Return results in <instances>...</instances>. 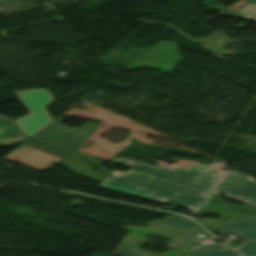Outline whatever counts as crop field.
<instances>
[{
    "label": "crop field",
    "mask_w": 256,
    "mask_h": 256,
    "mask_svg": "<svg viewBox=\"0 0 256 256\" xmlns=\"http://www.w3.org/2000/svg\"><path fill=\"white\" fill-rule=\"evenodd\" d=\"M71 155H74V156H76V157L82 158V159H84V160H87V161H89V162H91V163H94V164L98 165V166L96 167V169H99V170H101V171H103V172H106V173H108V174L111 173L110 171H108V170H106V169L100 167L103 163H105L104 161L96 160V159H94V158H91V157H89V156L83 155V154L78 153V152H75V151H73V152L71 153Z\"/></svg>",
    "instance_id": "733c2abd"
},
{
    "label": "crop field",
    "mask_w": 256,
    "mask_h": 256,
    "mask_svg": "<svg viewBox=\"0 0 256 256\" xmlns=\"http://www.w3.org/2000/svg\"><path fill=\"white\" fill-rule=\"evenodd\" d=\"M236 250L246 256H252L256 254V241L244 245Z\"/></svg>",
    "instance_id": "4a817a6b"
},
{
    "label": "crop field",
    "mask_w": 256,
    "mask_h": 256,
    "mask_svg": "<svg viewBox=\"0 0 256 256\" xmlns=\"http://www.w3.org/2000/svg\"><path fill=\"white\" fill-rule=\"evenodd\" d=\"M196 233H200V231L178 236L176 238V240L178 242L170 244V245L172 247H176V246H181V245L190 244V243L205 244V243H211L212 242L210 240H204V241L197 242L196 240H199V239L193 236V234H196Z\"/></svg>",
    "instance_id": "cbeb9de0"
},
{
    "label": "crop field",
    "mask_w": 256,
    "mask_h": 256,
    "mask_svg": "<svg viewBox=\"0 0 256 256\" xmlns=\"http://www.w3.org/2000/svg\"><path fill=\"white\" fill-rule=\"evenodd\" d=\"M25 145H28L30 147L42 150L44 152L53 154L55 156H58L60 158H62L61 160H59L57 163L66 166L70 171L75 172L77 174H80L84 177H87L89 179L95 180V181H99L102 182L108 175L102 173V172H98V171H94L92 170V165L88 164L85 161L76 159L74 157H71L67 154H64L60 151H56V150H52L43 146H39L33 143H26Z\"/></svg>",
    "instance_id": "e52e79f7"
},
{
    "label": "crop field",
    "mask_w": 256,
    "mask_h": 256,
    "mask_svg": "<svg viewBox=\"0 0 256 256\" xmlns=\"http://www.w3.org/2000/svg\"><path fill=\"white\" fill-rule=\"evenodd\" d=\"M147 224L152 227H156V228H185V229H189V228L196 227L194 229L182 231L181 233L184 234V233L200 230L203 233L208 234V232H206L198 224H196L194 221H192L186 217L171 216V217H167L164 219L149 222ZM158 224H162V225L157 226Z\"/></svg>",
    "instance_id": "28ad6ade"
},
{
    "label": "crop field",
    "mask_w": 256,
    "mask_h": 256,
    "mask_svg": "<svg viewBox=\"0 0 256 256\" xmlns=\"http://www.w3.org/2000/svg\"><path fill=\"white\" fill-rule=\"evenodd\" d=\"M231 223L212 229L213 231L226 235L230 232L241 236V242L245 243L256 238V215L250 214Z\"/></svg>",
    "instance_id": "d8731c3e"
},
{
    "label": "crop field",
    "mask_w": 256,
    "mask_h": 256,
    "mask_svg": "<svg viewBox=\"0 0 256 256\" xmlns=\"http://www.w3.org/2000/svg\"><path fill=\"white\" fill-rule=\"evenodd\" d=\"M254 214H256V213H254Z\"/></svg>",
    "instance_id": "214f88e0"
},
{
    "label": "crop field",
    "mask_w": 256,
    "mask_h": 256,
    "mask_svg": "<svg viewBox=\"0 0 256 256\" xmlns=\"http://www.w3.org/2000/svg\"><path fill=\"white\" fill-rule=\"evenodd\" d=\"M64 119L58 117L34 136L76 150L99 125L98 123L88 122L80 129L59 126Z\"/></svg>",
    "instance_id": "412701ff"
},
{
    "label": "crop field",
    "mask_w": 256,
    "mask_h": 256,
    "mask_svg": "<svg viewBox=\"0 0 256 256\" xmlns=\"http://www.w3.org/2000/svg\"><path fill=\"white\" fill-rule=\"evenodd\" d=\"M99 186L192 211H195L205 201V199L184 193L152 185L133 183L110 176H108Z\"/></svg>",
    "instance_id": "8a807250"
},
{
    "label": "crop field",
    "mask_w": 256,
    "mask_h": 256,
    "mask_svg": "<svg viewBox=\"0 0 256 256\" xmlns=\"http://www.w3.org/2000/svg\"><path fill=\"white\" fill-rule=\"evenodd\" d=\"M110 175L129 179V180H134V181H138V182H142V183H152L155 185H159L162 187L177 190V191L184 192L187 194L203 197L206 199H208V196H209V192L202 191V190H199V189H196L193 187H189V186L174 182L169 179L158 178L155 175L142 173V172L135 171L132 169L126 171L125 173L119 172V171H114Z\"/></svg>",
    "instance_id": "dd49c442"
},
{
    "label": "crop field",
    "mask_w": 256,
    "mask_h": 256,
    "mask_svg": "<svg viewBox=\"0 0 256 256\" xmlns=\"http://www.w3.org/2000/svg\"><path fill=\"white\" fill-rule=\"evenodd\" d=\"M193 249L195 252L202 251L206 252L205 254H190L187 256H240L236 252L230 250L222 244H205V245H197Z\"/></svg>",
    "instance_id": "d1516ede"
},
{
    "label": "crop field",
    "mask_w": 256,
    "mask_h": 256,
    "mask_svg": "<svg viewBox=\"0 0 256 256\" xmlns=\"http://www.w3.org/2000/svg\"><path fill=\"white\" fill-rule=\"evenodd\" d=\"M26 137L15 122L0 117V146H6L25 141Z\"/></svg>",
    "instance_id": "3316defc"
},
{
    "label": "crop field",
    "mask_w": 256,
    "mask_h": 256,
    "mask_svg": "<svg viewBox=\"0 0 256 256\" xmlns=\"http://www.w3.org/2000/svg\"><path fill=\"white\" fill-rule=\"evenodd\" d=\"M255 5L256 0H247V3L242 5L240 10H230L228 12H222L221 14L233 17L251 18L253 20H256V7H254Z\"/></svg>",
    "instance_id": "22f410ed"
},
{
    "label": "crop field",
    "mask_w": 256,
    "mask_h": 256,
    "mask_svg": "<svg viewBox=\"0 0 256 256\" xmlns=\"http://www.w3.org/2000/svg\"><path fill=\"white\" fill-rule=\"evenodd\" d=\"M214 192H222L228 198L256 206V181L245 174L224 172Z\"/></svg>",
    "instance_id": "f4fd0767"
},
{
    "label": "crop field",
    "mask_w": 256,
    "mask_h": 256,
    "mask_svg": "<svg viewBox=\"0 0 256 256\" xmlns=\"http://www.w3.org/2000/svg\"><path fill=\"white\" fill-rule=\"evenodd\" d=\"M111 255L115 256H158L150 253H145V252H139L137 250L125 248L118 246L112 253Z\"/></svg>",
    "instance_id": "5142ce71"
},
{
    "label": "crop field",
    "mask_w": 256,
    "mask_h": 256,
    "mask_svg": "<svg viewBox=\"0 0 256 256\" xmlns=\"http://www.w3.org/2000/svg\"><path fill=\"white\" fill-rule=\"evenodd\" d=\"M111 161L124 164L139 170H143L155 175L175 180L177 182L190 185L202 190L211 192L213 186L221 173L210 174L203 172L204 166H193L191 169H168L161 166L152 167L131 159L115 158Z\"/></svg>",
    "instance_id": "ac0d7876"
},
{
    "label": "crop field",
    "mask_w": 256,
    "mask_h": 256,
    "mask_svg": "<svg viewBox=\"0 0 256 256\" xmlns=\"http://www.w3.org/2000/svg\"><path fill=\"white\" fill-rule=\"evenodd\" d=\"M210 200L214 201V202H217V203H221V204L230 206V207H233V208H236V209H239V210H242V211H246V212H250V213L256 212V207H253V206H250V205L240 207V206H237V205L219 200V199L215 198L213 195H212Z\"/></svg>",
    "instance_id": "d9b57169"
},
{
    "label": "crop field",
    "mask_w": 256,
    "mask_h": 256,
    "mask_svg": "<svg viewBox=\"0 0 256 256\" xmlns=\"http://www.w3.org/2000/svg\"><path fill=\"white\" fill-rule=\"evenodd\" d=\"M16 93L31 113V115L16 120V123L25 134L28 136L34 135L53 121L52 117L50 118L45 111L46 109L44 110L45 107L52 104L53 100L47 89H31Z\"/></svg>",
    "instance_id": "34b2d1b8"
},
{
    "label": "crop field",
    "mask_w": 256,
    "mask_h": 256,
    "mask_svg": "<svg viewBox=\"0 0 256 256\" xmlns=\"http://www.w3.org/2000/svg\"><path fill=\"white\" fill-rule=\"evenodd\" d=\"M198 213L202 214H212V215H218V216H223L229 220L221 223L217 220H214L212 218H206L204 220L199 221V223L205 227L206 229H212L217 226L223 225L225 223L231 222L233 220H236L240 217H243L245 215H248L250 213L230 209L223 207L221 205L215 204L213 202L208 201L203 207H201L198 211Z\"/></svg>",
    "instance_id": "5a996713"
},
{
    "label": "crop field",
    "mask_w": 256,
    "mask_h": 256,
    "mask_svg": "<svg viewBox=\"0 0 256 256\" xmlns=\"http://www.w3.org/2000/svg\"><path fill=\"white\" fill-rule=\"evenodd\" d=\"M31 141L38 142V143H41V144H44V145H48V146H51V147L60 149V150H62V151H65V152H67V153H69V152L71 151V149L64 148V147H61V146H58V145H55V144H52V143H49V142H46V141L37 139V138H35V137H33V138L31 139Z\"/></svg>",
    "instance_id": "bc2a9ffb"
}]
</instances>
